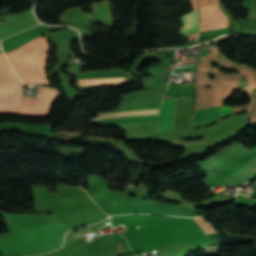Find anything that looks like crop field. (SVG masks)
Instances as JSON below:
<instances>
[{
    "label": "crop field",
    "instance_id": "3316defc",
    "mask_svg": "<svg viewBox=\"0 0 256 256\" xmlns=\"http://www.w3.org/2000/svg\"><path fill=\"white\" fill-rule=\"evenodd\" d=\"M232 111H233L232 108H226V107L222 106L220 118L231 114Z\"/></svg>",
    "mask_w": 256,
    "mask_h": 256
},
{
    "label": "crop field",
    "instance_id": "d8731c3e",
    "mask_svg": "<svg viewBox=\"0 0 256 256\" xmlns=\"http://www.w3.org/2000/svg\"><path fill=\"white\" fill-rule=\"evenodd\" d=\"M154 113H158V109L133 111V112H123V113H113V114H103V115H98L97 118H92L90 120L115 118V117H125V116H134V115H144V114H154Z\"/></svg>",
    "mask_w": 256,
    "mask_h": 256
},
{
    "label": "crop field",
    "instance_id": "8a807250",
    "mask_svg": "<svg viewBox=\"0 0 256 256\" xmlns=\"http://www.w3.org/2000/svg\"><path fill=\"white\" fill-rule=\"evenodd\" d=\"M23 87L10 67L3 53L0 54V109H16L24 111L50 113V107L60 97L57 89L38 86L35 98L22 96ZM46 113L0 110V114L47 117Z\"/></svg>",
    "mask_w": 256,
    "mask_h": 256
},
{
    "label": "crop field",
    "instance_id": "f4fd0767",
    "mask_svg": "<svg viewBox=\"0 0 256 256\" xmlns=\"http://www.w3.org/2000/svg\"><path fill=\"white\" fill-rule=\"evenodd\" d=\"M190 1L192 3L193 10H195L197 8V5H196V8H195L196 0H194L195 4H194L193 0H190ZM181 19H182V22H183V27L179 31L180 36L198 31V29H199L198 10H195V11L187 14L186 16L182 17Z\"/></svg>",
    "mask_w": 256,
    "mask_h": 256
},
{
    "label": "crop field",
    "instance_id": "412701ff",
    "mask_svg": "<svg viewBox=\"0 0 256 256\" xmlns=\"http://www.w3.org/2000/svg\"><path fill=\"white\" fill-rule=\"evenodd\" d=\"M176 99L163 100L157 131L172 130Z\"/></svg>",
    "mask_w": 256,
    "mask_h": 256
},
{
    "label": "crop field",
    "instance_id": "e52e79f7",
    "mask_svg": "<svg viewBox=\"0 0 256 256\" xmlns=\"http://www.w3.org/2000/svg\"><path fill=\"white\" fill-rule=\"evenodd\" d=\"M78 84L81 86H92L119 82H128L132 80H125V77H113V78H89V79H77Z\"/></svg>",
    "mask_w": 256,
    "mask_h": 256
},
{
    "label": "crop field",
    "instance_id": "dd49c442",
    "mask_svg": "<svg viewBox=\"0 0 256 256\" xmlns=\"http://www.w3.org/2000/svg\"><path fill=\"white\" fill-rule=\"evenodd\" d=\"M256 157V152L250 150L248 153H246L243 157H241L239 160H237L235 163H233L231 166L223 169L222 171L218 173H213L216 177V179L220 182L226 177H228L230 174L250 162L252 159Z\"/></svg>",
    "mask_w": 256,
    "mask_h": 256
},
{
    "label": "crop field",
    "instance_id": "34b2d1b8",
    "mask_svg": "<svg viewBox=\"0 0 256 256\" xmlns=\"http://www.w3.org/2000/svg\"><path fill=\"white\" fill-rule=\"evenodd\" d=\"M201 31L228 26V17L220 10L218 4L202 8Z\"/></svg>",
    "mask_w": 256,
    "mask_h": 256
},
{
    "label": "crop field",
    "instance_id": "5a996713",
    "mask_svg": "<svg viewBox=\"0 0 256 256\" xmlns=\"http://www.w3.org/2000/svg\"><path fill=\"white\" fill-rule=\"evenodd\" d=\"M213 241H216L218 233L214 228L206 223L201 217L191 218Z\"/></svg>",
    "mask_w": 256,
    "mask_h": 256
},
{
    "label": "crop field",
    "instance_id": "ac0d7876",
    "mask_svg": "<svg viewBox=\"0 0 256 256\" xmlns=\"http://www.w3.org/2000/svg\"><path fill=\"white\" fill-rule=\"evenodd\" d=\"M48 50V37H38L5 54L24 85H49L45 72Z\"/></svg>",
    "mask_w": 256,
    "mask_h": 256
}]
</instances>
